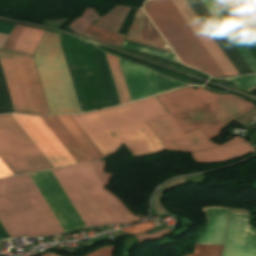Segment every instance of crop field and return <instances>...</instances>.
Listing matches in <instances>:
<instances>
[{
    "label": "crop field",
    "instance_id": "ac0d7876",
    "mask_svg": "<svg viewBox=\"0 0 256 256\" xmlns=\"http://www.w3.org/2000/svg\"><path fill=\"white\" fill-rule=\"evenodd\" d=\"M157 97L183 133L199 128L207 140L216 137L229 121L255 106L237 97L220 96L202 87L195 91L192 87H186Z\"/></svg>",
    "mask_w": 256,
    "mask_h": 256
},
{
    "label": "crop field",
    "instance_id": "e1f06a70",
    "mask_svg": "<svg viewBox=\"0 0 256 256\" xmlns=\"http://www.w3.org/2000/svg\"><path fill=\"white\" fill-rule=\"evenodd\" d=\"M8 237H9V235L7 234V232L4 229V227L2 226V224L0 223V239L8 238Z\"/></svg>",
    "mask_w": 256,
    "mask_h": 256
},
{
    "label": "crop field",
    "instance_id": "214f88e0",
    "mask_svg": "<svg viewBox=\"0 0 256 256\" xmlns=\"http://www.w3.org/2000/svg\"><path fill=\"white\" fill-rule=\"evenodd\" d=\"M202 2L207 7V9L210 11L212 16L218 22V24L223 29V31L226 33V35L229 37L231 42L237 48V50L242 55V57L245 59V61L250 66V68L253 70V72H256V60L254 59L252 54L249 52V50L246 48V46L241 41V39L238 37V35L235 33V31L230 26V24L227 22V20L224 18V16L219 11V9L216 7L214 2L212 0H202Z\"/></svg>",
    "mask_w": 256,
    "mask_h": 256
},
{
    "label": "crop field",
    "instance_id": "120bbe31",
    "mask_svg": "<svg viewBox=\"0 0 256 256\" xmlns=\"http://www.w3.org/2000/svg\"><path fill=\"white\" fill-rule=\"evenodd\" d=\"M168 232H170V228H167L165 230L159 231V232L154 233L152 235L142 234V235H136L135 237L138 239L139 242L150 241V240H156V239L164 236Z\"/></svg>",
    "mask_w": 256,
    "mask_h": 256
},
{
    "label": "crop field",
    "instance_id": "bc2a9ffb",
    "mask_svg": "<svg viewBox=\"0 0 256 256\" xmlns=\"http://www.w3.org/2000/svg\"><path fill=\"white\" fill-rule=\"evenodd\" d=\"M43 30L16 25L12 31L4 49L18 51L32 55L42 34Z\"/></svg>",
    "mask_w": 256,
    "mask_h": 256
},
{
    "label": "crop field",
    "instance_id": "ae1a2a85",
    "mask_svg": "<svg viewBox=\"0 0 256 256\" xmlns=\"http://www.w3.org/2000/svg\"><path fill=\"white\" fill-rule=\"evenodd\" d=\"M222 246L196 245L194 254L188 256H221Z\"/></svg>",
    "mask_w": 256,
    "mask_h": 256
},
{
    "label": "crop field",
    "instance_id": "dd49c442",
    "mask_svg": "<svg viewBox=\"0 0 256 256\" xmlns=\"http://www.w3.org/2000/svg\"><path fill=\"white\" fill-rule=\"evenodd\" d=\"M143 9L182 63L213 76H225L171 0L149 1Z\"/></svg>",
    "mask_w": 256,
    "mask_h": 256
},
{
    "label": "crop field",
    "instance_id": "028f5c9d",
    "mask_svg": "<svg viewBox=\"0 0 256 256\" xmlns=\"http://www.w3.org/2000/svg\"><path fill=\"white\" fill-rule=\"evenodd\" d=\"M124 42H125V43H129V44H133V45H137V46H141V47H144V48H148V49L156 50V51H159V52H163V53H167V54L175 55V54H174V53H172V52H168V51L160 50V49H157V48H153V47H149V46L141 45V44H138V43H134V42L126 41V40H125Z\"/></svg>",
    "mask_w": 256,
    "mask_h": 256
},
{
    "label": "crop field",
    "instance_id": "00972430",
    "mask_svg": "<svg viewBox=\"0 0 256 256\" xmlns=\"http://www.w3.org/2000/svg\"><path fill=\"white\" fill-rule=\"evenodd\" d=\"M213 1L215 2L217 7L220 9V11L223 13L225 18L228 20V22L231 24V26L234 28L236 33L239 35V37L242 39V41L245 43L247 48L250 50V52L253 54V56L256 59V41L253 39L251 34L245 28V26L240 21L238 16L235 14L233 9L230 7L228 2L226 0H213Z\"/></svg>",
    "mask_w": 256,
    "mask_h": 256
},
{
    "label": "crop field",
    "instance_id": "d1516ede",
    "mask_svg": "<svg viewBox=\"0 0 256 256\" xmlns=\"http://www.w3.org/2000/svg\"><path fill=\"white\" fill-rule=\"evenodd\" d=\"M30 176L65 232L85 227L51 170L31 173Z\"/></svg>",
    "mask_w": 256,
    "mask_h": 256
},
{
    "label": "crop field",
    "instance_id": "f4fd0767",
    "mask_svg": "<svg viewBox=\"0 0 256 256\" xmlns=\"http://www.w3.org/2000/svg\"><path fill=\"white\" fill-rule=\"evenodd\" d=\"M52 172L86 227L141 220L102 187L88 163L53 169Z\"/></svg>",
    "mask_w": 256,
    "mask_h": 256
},
{
    "label": "crop field",
    "instance_id": "d8731c3e",
    "mask_svg": "<svg viewBox=\"0 0 256 256\" xmlns=\"http://www.w3.org/2000/svg\"><path fill=\"white\" fill-rule=\"evenodd\" d=\"M34 58L51 113H81L58 35L46 31Z\"/></svg>",
    "mask_w": 256,
    "mask_h": 256
},
{
    "label": "crop field",
    "instance_id": "5142ce71",
    "mask_svg": "<svg viewBox=\"0 0 256 256\" xmlns=\"http://www.w3.org/2000/svg\"><path fill=\"white\" fill-rule=\"evenodd\" d=\"M172 1L176 5L178 10L181 12V14L184 16L186 21L189 23L191 28L194 30V32L197 34L199 39L205 45L207 50L213 56V58L218 63L220 68L226 74V76L238 74V72L232 66V64L224 55L222 50L219 48L217 43L214 41V39L211 37L209 32L206 30V28L203 26L201 21L198 19V17L195 15L193 10L190 8L188 3L185 0H172Z\"/></svg>",
    "mask_w": 256,
    "mask_h": 256
},
{
    "label": "crop field",
    "instance_id": "92a150f3",
    "mask_svg": "<svg viewBox=\"0 0 256 256\" xmlns=\"http://www.w3.org/2000/svg\"><path fill=\"white\" fill-rule=\"evenodd\" d=\"M46 125L51 129L67 151L72 155L77 163L89 161V157L79 147L75 140L70 136L66 129L56 119L55 116L41 117Z\"/></svg>",
    "mask_w": 256,
    "mask_h": 256
},
{
    "label": "crop field",
    "instance_id": "a9b5d70f",
    "mask_svg": "<svg viewBox=\"0 0 256 256\" xmlns=\"http://www.w3.org/2000/svg\"><path fill=\"white\" fill-rule=\"evenodd\" d=\"M256 40V11L248 0H227Z\"/></svg>",
    "mask_w": 256,
    "mask_h": 256
},
{
    "label": "crop field",
    "instance_id": "412701ff",
    "mask_svg": "<svg viewBox=\"0 0 256 256\" xmlns=\"http://www.w3.org/2000/svg\"><path fill=\"white\" fill-rule=\"evenodd\" d=\"M59 38L81 111L120 104L104 52L71 37Z\"/></svg>",
    "mask_w": 256,
    "mask_h": 256
},
{
    "label": "crop field",
    "instance_id": "8a807250",
    "mask_svg": "<svg viewBox=\"0 0 256 256\" xmlns=\"http://www.w3.org/2000/svg\"><path fill=\"white\" fill-rule=\"evenodd\" d=\"M167 114L155 97L125 106L72 115L104 156L123 143L132 156L154 153L164 147L144 124Z\"/></svg>",
    "mask_w": 256,
    "mask_h": 256
},
{
    "label": "crop field",
    "instance_id": "750c4746",
    "mask_svg": "<svg viewBox=\"0 0 256 256\" xmlns=\"http://www.w3.org/2000/svg\"><path fill=\"white\" fill-rule=\"evenodd\" d=\"M155 76H156V79H157V82H158V86H159V89H160V92H166V91H169V90H172V89H176V88H179V87H182V86H186L185 84H181V83H178L176 81H173L171 79H168L166 77H163L159 74H156L155 73Z\"/></svg>",
    "mask_w": 256,
    "mask_h": 256
},
{
    "label": "crop field",
    "instance_id": "d9b57169",
    "mask_svg": "<svg viewBox=\"0 0 256 256\" xmlns=\"http://www.w3.org/2000/svg\"><path fill=\"white\" fill-rule=\"evenodd\" d=\"M119 62L132 101L160 93L153 71L121 59Z\"/></svg>",
    "mask_w": 256,
    "mask_h": 256
},
{
    "label": "crop field",
    "instance_id": "d32e631a",
    "mask_svg": "<svg viewBox=\"0 0 256 256\" xmlns=\"http://www.w3.org/2000/svg\"><path fill=\"white\" fill-rule=\"evenodd\" d=\"M114 247H104L96 252L91 253L88 256H111ZM43 256H54L51 254H45Z\"/></svg>",
    "mask_w": 256,
    "mask_h": 256
},
{
    "label": "crop field",
    "instance_id": "c035e120",
    "mask_svg": "<svg viewBox=\"0 0 256 256\" xmlns=\"http://www.w3.org/2000/svg\"><path fill=\"white\" fill-rule=\"evenodd\" d=\"M251 2V4L253 5V7L256 9V0H249ZM254 9V10H255Z\"/></svg>",
    "mask_w": 256,
    "mask_h": 256
},
{
    "label": "crop field",
    "instance_id": "733c2abd",
    "mask_svg": "<svg viewBox=\"0 0 256 256\" xmlns=\"http://www.w3.org/2000/svg\"><path fill=\"white\" fill-rule=\"evenodd\" d=\"M130 7L115 6L106 15L82 33L97 41L121 45L125 36L117 34Z\"/></svg>",
    "mask_w": 256,
    "mask_h": 256
},
{
    "label": "crop field",
    "instance_id": "28ad6ade",
    "mask_svg": "<svg viewBox=\"0 0 256 256\" xmlns=\"http://www.w3.org/2000/svg\"><path fill=\"white\" fill-rule=\"evenodd\" d=\"M207 224L197 244L222 245L229 209H203ZM249 215L231 212L224 250L226 252L256 253V230L248 224ZM251 234L252 236L248 235Z\"/></svg>",
    "mask_w": 256,
    "mask_h": 256
},
{
    "label": "crop field",
    "instance_id": "dafd665d",
    "mask_svg": "<svg viewBox=\"0 0 256 256\" xmlns=\"http://www.w3.org/2000/svg\"><path fill=\"white\" fill-rule=\"evenodd\" d=\"M91 160L105 158L71 115L56 116Z\"/></svg>",
    "mask_w": 256,
    "mask_h": 256
},
{
    "label": "crop field",
    "instance_id": "1d83c4d3",
    "mask_svg": "<svg viewBox=\"0 0 256 256\" xmlns=\"http://www.w3.org/2000/svg\"><path fill=\"white\" fill-rule=\"evenodd\" d=\"M122 47L136 49V50H139V51H142V52H145V53L157 56V57L165 58V59L172 60V61L180 63V61L175 56L159 53V52H156V51L144 49V48H141V47H137V46H133V45L125 44V43L123 44Z\"/></svg>",
    "mask_w": 256,
    "mask_h": 256
},
{
    "label": "crop field",
    "instance_id": "3316defc",
    "mask_svg": "<svg viewBox=\"0 0 256 256\" xmlns=\"http://www.w3.org/2000/svg\"><path fill=\"white\" fill-rule=\"evenodd\" d=\"M0 157L15 175L52 168L11 114L0 115ZM0 158V178L14 176Z\"/></svg>",
    "mask_w": 256,
    "mask_h": 256
},
{
    "label": "crop field",
    "instance_id": "4a817a6b",
    "mask_svg": "<svg viewBox=\"0 0 256 256\" xmlns=\"http://www.w3.org/2000/svg\"><path fill=\"white\" fill-rule=\"evenodd\" d=\"M126 40L172 51L146 14L140 9L137 11L134 23Z\"/></svg>",
    "mask_w": 256,
    "mask_h": 256
},
{
    "label": "crop field",
    "instance_id": "b80d0937",
    "mask_svg": "<svg viewBox=\"0 0 256 256\" xmlns=\"http://www.w3.org/2000/svg\"><path fill=\"white\" fill-rule=\"evenodd\" d=\"M6 38H7V35L0 34V48L3 46Z\"/></svg>",
    "mask_w": 256,
    "mask_h": 256
},
{
    "label": "crop field",
    "instance_id": "e52e79f7",
    "mask_svg": "<svg viewBox=\"0 0 256 256\" xmlns=\"http://www.w3.org/2000/svg\"><path fill=\"white\" fill-rule=\"evenodd\" d=\"M0 64L16 112L48 115L32 57L0 50ZM0 67V114L15 112Z\"/></svg>",
    "mask_w": 256,
    "mask_h": 256
},
{
    "label": "crop field",
    "instance_id": "bd1437ed",
    "mask_svg": "<svg viewBox=\"0 0 256 256\" xmlns=\"http://www.w3.org/2000/svg\"><path fill=\"white\" fill-rule=\"evenodd\" d=\"M156 226H158L157 223H156ZM152 228H155V222L150 221V222L138 224L135 226H131L128 228H124L121 230L128 234H138V233H143V232L149 231Z\"/></svg>",
    "mask_w": 256,
    "mask_h": 256
},
{
    "label": "crop field",
    "instance_id": "4177f3b9",
    "mask_svg": "<svg viewBox=\"0 0 256 256\" xmlns=\"http://www.w3.org/2000/svg\"><path fill=\"white\" fill-rule=\"evenodd\" d=\"M106 54V53H105ZM107 61L111 70V74L115 83V87L119 96L120 103L130 102L127 87L120 69L118 59L110 54H106Z\"/></svg>",
    "mask_w": 256,
    "mask_h": 256
},
{
    "label": "crop field",
    "instance_id": "34b2d1b8",
    "mask_svg": "<svg viewBox=\"0 0 256 256\" xmlns=\"http://www.w3.org/2000/svg\"><path fill=\"white\" fill-rule=\"evenodd\" d=\"M0 221L10 237L64 233L29 174L0 179Z\"/></svg>",
    "mask_w": 256,
    "mask_h": 256
},
{
    "label": "crop field",
    "instance_id": "5866460e",
    "mask_svg": "<svg viewBox=\"0 0 256 256\" xmlns=\"http://www.w3.org/2000/svg\"><path fill=\"white\" fill-rule=\"evenodd\" d=\"M70 19H71V18L52 20L50 26L61 28V27H62L65 23H67Z\"/></svg>",
    "mask_w": 256,
    "mask_h": 256
},
{
    "label": "crop field",
    "instance_id": "22f410ed",
    "mask_svg": "<svg viewBox=\"0 0 256 256\" xmlns=\"http://www.w3.org/2000/svg\"><path fill=\"white\" fill-rule=\"evenodd\" d=\"M12 115L54 167L76 163L40 117Z\"/></svg>",
    "mask_w": 256,
    "mask_h": 256
},
{
    "label": "crop field",
    "instance_id": "eef30255",
    "mask_svg": "<svg viewBox=\"0 0 256 256\" xmlns=\"http://www.w3.org/2000/svg\"><path fill=\"white\" fill-rule=\"evenodd\" d=\"M225 81L235 84L239 89L254 91L256 90V75L244 76V77H235L224 79Z\"/></svg>",
    "mask_w": 256,
    "mask_h": 256
},
{
    "label": "crop field",
    "instance_id": "cbeb9de0",
    "mask_svg": "<svg viewBox=\"0 0 256 256\" xmlns=\"http://www.w3.org/2000/svg\"><path fill=\"white\" fill-rule=\"evenodd\" d=\"M191 8L194 10V12L197 14L199 19L202 21L204 26L207 28V30L210 32L212 37L215 39V41L218 43L220 48L223 50V52L226 54L228 59L231 61L233 66L236 68V70L239 72V74L243 73H250L252 70L249 68V66L246 64L244 59L241 57V55L238 53L236 48L233 46V44L230 42L228 37L225 35V33L222 31V29L219 27L217 22L214 20V18L211 16L209 11L206 9V7L203 5L201 0H186Z\"/></svg>",
    "mask_w": 256,
    "mask_h": 256
},
{
    "label": "crop field",
    "instance_id": "730fd06b",
    "mask_svg": "<svg viewBox=\"0 0 256 256\" xmlns=\"http://www.w3.org/2000/svg\"><path fill=\"white\" fill-rule=\"evenodd\" d=\"M100 18L95 10L86 8L84 14L71 23L70 28L76 32L81 34L84 30H86L89 25L96 19Z\"/></svg>",
    "mask_w": 256,
    "mask_h": 256
},
{
    "label": "crop field",
    "instance_id": "d3111659",
    "mask_svg": "<svg viewBox=\"0 0 256 256\" xmlns=\"http://www.w3.org/2000/svg\"><path fill=\"white\" fill-rule=\"evenodd\" d=\"M106 163L107 162L105 161H96L90 163L91 167L93 168L103 187L106 186V184L112 176L111 173L104 172Z\"/></svg>",
    "mask_w": 256,
    "mask_h": 256
},
{
    "label": "crop field",
    "instance_id": "0bd39190",
    "mask_svg": "<svg viewBox=\"0 0 256 256\" xmlns=\"http://www.w3.org/2000/svg\"><path fill=\"white\" fill-rule=\"evenodd\" d=\"M222 256H256V255H253V254H240V253H226V252H223V255Z\"/></svg>",
    "mask_w": 256,
    "mask_h": 256
},
{
    "label": "crop field",
    "instance_id": "5a996713",
    "mask_svg": "<svg viewBox=\"0 0 256 256\" xmlns=\"http://www.w3.org/2000/svg\"><path fill=\"white\" fill-rule=\"evenodd\" d=\"M145 124L153 131L166 150L193 152L215 148L192 153L198 161L220 162L240 157L249 152H255L244 139L239 137H235L219 146L213 144L210 140L207 141L199 129L183 134L170 114Z\"/></svg>",
    "mask_w": 256,
    "mask_h": 256
}]
</instances>
